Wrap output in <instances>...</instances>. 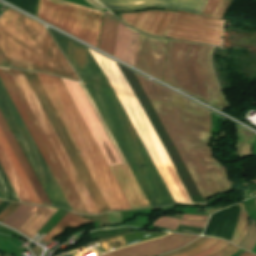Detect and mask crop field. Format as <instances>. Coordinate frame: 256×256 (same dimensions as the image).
Returning a JSON list of instances; mask_svg holds the SVG:
<instances>
[{"instance_id":"1","label":"crop field","mask_w":256,"mask_h":256,"mask_svg":"<svg viewBox=\"0 0 256 256\" xmlns=\"http://www.w3.org/2000/svg\"><path fill=\"white\" fill-rule=\"evenodd\" d=\"M86 84L153 207L174 201L110 83L89 49L49 29ZM139 84L203 198L230 189L227 173L207 146L210 112L137 74Z\"/></svg>"},{"instance_id":"2","label":"crop field","mask_w":256,"mask_h":256,"mask_svg":"<svg viewBox=\"0 0 256 256\" xmlns=\"http://www.w3.org/2000/svg\"><path fill=\"white\" fill-rule=\"evenodd\" d=\"M10 71L13 77L15 78L19 88L21 89L24 97L26 98L29 106L31 107L40 126L42 127L45 135L47 136L56 155L58 156L61 164L63 165L72 184L74 185L77 193L79 194L88 213H99V211L100 213H102L108 211L109 208L105 200L103 199L93 178L91 177L88 169L86 168L82 158L80 157L58 114L56 113L41 83L39 82L35 72L23 71L26 79L28 80L32 90L34 91L37 99L39 100L47 117L49 118L53 128L55 129L63 146L65 147L68 155L70 156L74 166L76 167L79 175L81 176L99 211L96 205L94 204L90 194L88 193L85 185L83 184L80 176L78 175L75 167L73 166L64 147L62 146L59 138L57 137L54 129L52 128L43 109L41 108L38 100L36 99L33 91L31 90L22 71L12 69H10ZM10 71L9 69L0 68V78L4 86L6 87L16 108L18 109L27 128L29 129L32 137L34 138L49 168L51 169L72 210L80 213H87L84 205L82 204L78 194L76 193L73 185L71 184L68 176L66 175L62 165L60 164L57 156L55 155L52 147L50 146L46 136L44 135L41 127L39 126L36 118L34 117L30 107L28 106Z\"/></svg>"},{"instance_id":"3","label":"crop field","mask_w":256,"mask_h":256,"mask_svg":"<svg viewBox=\"0 0 256 256\" xmlns=\"http://www.w3.org/2000/svg\"><path fill=\"white\" fill-rule=\"evenodd\" d=\"M0 47L13 67L80 81L44 26L8 7L0 17Z\"/></svg>"},{"instance_id":"4","label":"crop field","mask_w":256,"mask_h":256,"mask_svg":"<svg viewBox=\"0 0 256 256\" xmlns=\"http://www.w3.org/2000/svg\"><path fill=\"white\" fill-rule=\"evenodd\" d=\"M110 210L131 209L61 78L37 73Z\"/></svg>"},{"instance_id":"5","label":"crop field","mask_w":256,"mask_h":256,"mask_svg":"<svg viewBox=\"0 0 256 256\" xmlns=\"http://www.w3.org/2000/svg\"><path fill=\"white\" fill-rule=\"evenodd\" d=\"M212 48L169 41L163 81L218 107L227 108L213 73Z\"/></svg>"},{"instance_id":"6","label":"crop field","mask_w":256,"mask_h":256,"mask_svg":"<svg viewBox=\"0 0 256 256\" xmlns=\"http://www.w3.org/2000/svg\"><path fill=\"white\" fill-rule=\"evenodd\" d=\"M108 164L125 162L84 84L62 79ZM132 209L150 207L127 163L110 166Z\"/></svg>"},{"instance_id":"7","label":"crop field","mask_w":256,"mask_h":256,"mask_svg":"<svg viewBox=\"0 0 256 256\" xmlns=\"http://www.w3.org/2000/svg\"><path fill=\"white\" fill-rule=\"evenodd\" d=\"M121 20L152 35L221 46L224 20L159 10L122 14Z\"/></svg>"},{"instance_id":"8","label":"crop field","mask_w":256,"mask_h":256,"mask_svg":"<svg viewBox=\"0 0 256 256\" xmlns=\"http://www.w3.org/2000/svg\"><path fill=\"white\" fill-rule=\"evenodd\" d=\"M101 16V12L62 0H39L37 13V17L95 46L98 44Z\"/></svg>"},{"instance_id":"9","label":"crop field","mask_w":256,"mask_h":256,"mask_svg":"<svg viewBox=\"0 0 256 256\" xmlns=\"http://www.w3.org/2000/svg\"><path fill=\"white\" fill-rule=\"evenodd\" d=\"M0 107L40 177L54 205L71 209L1 80Z\"/></svg>"},{"instance_id":"10","label":"crop field","mask_w":256,"mask_h":256,"mask_svg":"<svg viewBox=\"0 0 256 256\" xmlns=\"http://www.w3.org/2000/svg\"><path fill=\"white\" fill-rule=\"evenodd\" d=\"M0 128L2 129L6 139L8 140L11 148L13 149L16 157L18 158L21 166L23 167L26 175L28 176L32 186L34 187L37 195L39 196L42 204H48L51 205L48 197L46 196L43 188L41 187L37 177L35 176L32 168L30 167L27 159L25 158L22 150L20 149L17 141L15 140L11 130L9 129L6 121L4 120L1 112H0ZM0 129V144L2 146V148L4 149L8 159L10 160L14 170L16 171L20 181L22 182L26 192L28 193L32 203H36V204H41L38 196L36 195L33 187L31 186L27 176L25 175L22 167L20 166L17 158L15 157L12 149L10 148L7 140L5 139L2 131Z\"/></svg>"},{"instance_id":"11","label":"crop field","mask_w":256,"mask_h":256,"mask_svg":"<svg viewBox=\"0 0 256 256\" xmlns=\"http://www.w3.org/2000/svg\"><path fill=\"white\" fill-rule=\"evenodd\" d=\"M117 24V19L104 13L99 48L112 55L114 53ZM138 36L139 33L127 29L119 22L114 56L134 65Z\"/></svg>"},{"instance_id":"12","label":"crop field","mask_w":256,"mask_h":256,"mask_svg":"<svg viewBox=\"0 0 256 256\" xmlns=\"http://www.w3.org/2000/svg\"><path fill=\"white\" fill-rule=\"evenodd\" d=\"M166 43L140 33L135 67L161 79Z\"/></svg>"},{"instance_id":"13","label":"crop field","mask_w":256,"mask_h":256,"mask_svg":"<svg viewBox=\"0 0 256 256\" xmlns=\"http://www.w3.org/2000/svg\"><path fill=\"white\" fill-rule=\"evenodd\" d=\"M199 236L172 234L153 241L112 251L104 256H157L182 247Z\"/></svg>"},{"instance_id":"14","label":"crop field","mask_w":256,"mask_h":256,"mask_svg":"<svg viewBox=\"0 0 256 256\" xmlns=\"http://www.w3.org/2000/svg\"><path fill=\"white\" fill-rule=\"evenodd\" d=\"M108 9L137 10L160 6L201 14L208 0H98Z\"/></svg>"},{"instance_id":"15","label":"crop field","mask_w":256,"mask_h":256,"mask_svg":"<svg viewBox=\"0 0 256 256\" xmlns=\"http://www.w3.org/2000/svg\"><path fill=\"white\" fill-rule=\"evenodd\" d=\"M56 209L39 207L19 231L32 237L56 212Z\"/></svg>"},{"instance_id":"16","label":"crop field","mask_w":256,"mask_h":256,"mask_svg":"<svg viewBox=\"0 0 256 256\" xmlns=\"http://www.w3.org/2000/svg\"><path fill=\"white\" fill-rule=\"evenodd\" d=\"M0 165L3 168L7 178L9 179L13 189L15 190L19 200L21 202L31 203L27 193L25 192L21 182L19 181L15 171L13 170L1 146H0Z\"/></svg>"},{"instance_id":"17","label":"crop field","mask_w":256,"mask_h":256,"mask_svg":"<svg viewBox=\"0 0 256 256\" xmlns=\"http://www.w3.org/2000/svg\"><path fill=\"white\" fill-rule=\"evenodd\" d=\"M94 222L93 220H87L81 217H78L76 215H73L71 213H67L59 223H57L52 230L42 239V241H45L49 243L54 238L58 237L63 231H65V226H69L71 228H76L79 226H82L87 223Z\"/></svg>"},{"instance_id":"18","label":"crop field","mask_w":256,"mask_h":256,"mask_svg":"<svg viewBox=\"0 0 256 256\" xmlns=\"http://www.w3.org/2000/svg\"><path fill=\"white\" fill-rule=\"evenodd\" d=\"M38 206L20 204L16 211L4 224L18 230L22 224L34 213Z\"/></svg>"},{"instance_id":"19","label":"crop field","mask_w":256,"mask_h":256,"mask_svg":"<svg viewBox=\"0 0 256 256\" xmlns=\"http://www.w3.org/2000/svg\"><path fill=\"white\" fill-rule=\"evenodd\" d=\"M208 238L209 237H200L199 239L195 240L194 242H192L188 246H186V247H184V248H182L180 250H177V251H174V252L162 255V256H176V255H178L180 253H183V252H186V251H189V250L193 249V250H191V251H189V252H187V253H185L183 255H179V256H192V255H195V254H197V253H199V252H201V251L211 247L214 243L219 241V239L210 238L205 243H203Z\"/></svg>"},{"instance_id":"20","label":"crop field","mask_w":256,"mask_h":256,"mask_svg":"<svg viewBox=\"0 0 256 256\" xmlns=\"http://www.w3.org/2000/svg\"><path fill=\"white\" fill-rule=\"evenodd\" d=\"M239 205L241 208V212H240L239 221L237 224L236 231H235L233 239L231 241L237 245L241 241V239L243 238V236L245 235V233L247 232L248 227H249L248 217H247L246 211L243 207V204L240 203Z\"/></svg>"},{"instance_id":"21","label":"crop field","mask_w":256,"mask_h":256,"mask_svg":"<svg viewBox=\"0 0 256 256\" xmlns=\"http://www.w3.org/2000/svg\"><path fill=\"white\" fill-rule=\"evenodd\" d=\"M251 220L250 228L248 233L244 236L242 241L239 243V246L246 248L248 250H252L254 245L256 244V224L255 221Z\"/></svg>"},{"instance_id":"22","label":"crop field","mask_w":256,"mask_h":256,"mask_svg":"<svg viewBox=\"0 0 256 256\" xmlns=\"http://www.w3.org/2000/svg\"><path fill=\"white\" fill-rule=\"evenodd\" d=\"M229 243H227L226 241L220 239V241L218 243H216L214 246H212L211 248H209L208 250L199 253L198 255L195 256H207L211 253H214L216 251L221 250L222 248H224L225 246H227Z\"/></svg>"},{"instance_id":"23","label":"crop field","mask_w":256,"mask_h":256,"mask_svg":"<svg viewBox=\"0 0 256 256\" xmlns=\"http://www.w3.org/2000/svg\"><path fill=\"white\" fill-rule=\"evenodd\" d=\"M219 0H209L207 5L205 6L202 15H206V16H212L217 4H218Z\"/></svg>"},{"instance_id":"24","label":"crop field","mask_w":256,"mask_h":256,"mask_svg":"<svg viewBox=\"0 0 256 256\" xmlns=\"http://www.w3.org/2000/svg\"><path fill=\"white\" fill-rule=\"evenodd\" d=\"M239 248L233 246V245H228L227 247H225L223 250L214 253L210 256H230L231 254H233L234 252H236Z\"/></svg>"},{"instance_id":"25","label":"crop field","mask_w":256,"mask_h":256,"mask_svg":"<svg viewBox=\"0 0 256 256\" xmlns=\"http://www.w3.org/2000/svg\"><path fill=\"white\" fill-rule=\"evenodd\" d=\"M19 204L11 203L10 206L0 214V222H4L18 207Z\"/></svg>"},{"instance_id":"26","label":"crop field","mask_w":256,"mask_h":256,"mask_svg":"<svg viewBox=\"0 0 256 256\" xmlns=\"http://www.w3.org/2000/svg\"><path fill=\"white\" fill-rule=\"evenodd\" d=\"M0 65L12 67V65L10 64V62L8 61V59L6 58V56L4 55L1 49H0Z\"/></svg>"},{"instance_id":"27","label":"crop field","mask_w":256,"mask_h":256,"mask_svg":"<svg viewBox=\"0 0 256 256\" xmlns=\"http://www.w3.org/2000/svg\"><path fill=\"white\" fill-rule=\"evenodd\" d=\"M181 219H193V220H207V216H189V215H183Z\"/></svg>"},{"instance_id":"28","label":"crop field","mask_w":256,"mask_h":256,"mask_svg":"<svg viewBox=\"0 0 256 256\" xmlns=\"http://www.w3.org/2000/svg\"><path fill=\"white\" fill-rule=\"evenodd\" d=\"M87 2H89L91 5H93L96 8H99L102 10L103 6H101L99 3H97L95 0H86Z\"/></svg>"},{"instance_id":"29","label":"crop field","mask_w":256,"mask_h":256,"mask_svg":"<svg viewBox=\"0 0 256 256\" xmlns=\"http://www.w3.org/2000/svg\"><path fill=\"white\" fill-rule=\"evenodd\" d=\"M248 255H250V253L244 251L240 256H248Z\"/></svg>"},{"instance_id":"30","label":"crop field","mask_w":256,"mask_h":256,"mask_svg":"<svg viewBox=\"0 0 256 256\" xmlns=\"http://www.w3.org/2000/svg\"><path fill=\"white\" fill-rule=\"evenodd\" d=\"M250 256H256V255L251 254Z\"/></svg>"},{"instance_id":"31","label":"crop field","mask_w":256,"mask_h":256,"mask_svg":"<svg viewBox=\"0 0 256 256\" xmlns=\"http://www.w3.org/2000/svg\"><path fill=\"white\" fill-rule=\"evenodd\" d=\"M252 182L256 183L255 181H252Z\"/></svg>"}]
</instances>
